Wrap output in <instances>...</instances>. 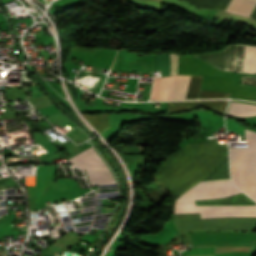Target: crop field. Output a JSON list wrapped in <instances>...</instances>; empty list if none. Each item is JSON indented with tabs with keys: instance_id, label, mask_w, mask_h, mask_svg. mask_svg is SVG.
<instances>
[{
	"instance_id": "1",
	"label": "crop field",
	"mask_w": 256,
	"mask_h": 256,
	"mask_svg": "<svg viewBox=\"0 0 256 256\" xmlns=\"http://www.w3.org/2000/svg\"><path fill=\"white\" fill-rule=\"evenodd\" d=\"M225 149L226 146H217L214 140L188 143L166 158L153 180L161 184L175 200L215 168L223 158Z\"/></svg>"
},
{
	"instance_id": "2",
	"label": "crop field",
	"mask_w": 256,
	"mask_h": 256,
	"mask_svg": "<svg viewBox=\"0 0 256 256\" xmlns=\"http://www.w3.org/2000/svg\"><path fill=\"white\" fill-rule=\"evenodd\" d=\"M237 193L241 192L230 179L199 182L177 199L174 214L200 213L202 218L256 217V206H196L193 201Z\"/></svg>"
},
{
	"instance_id": "3",
	"label": "crop field",
	"mask_w": 256,
	"mask_h": 256,
	"mask_svg": "<svg viewBox=\"0 0 256 256\" xmlns=\"http://www.w3.org/2000/svg\"><path fill=\"white\" fill-rule=\"evenodd\" d=\"M248 148H230L231 177L256 201V132L247 130Z\"/></svg>"
},
{
	"instance_id": "4",
	"label": "crop field",
	"mask_w": 256,
	"mask_h": 256,
	"mask_svg": "<svg viewBox=\"0 0 256 256\" xmlns=\"http://www.w3.org/2000/svg\"><path fill=\"white\" fill-rule=\"evenodd\" d=\"M69 163L85 168L91 185L116 183L110 170L92 147L68 159Z\"/></svg>"
},
{
	"instance_id": "5",
	"label": "crop field",
	"mask_w": 256,
	"mask_h": 256,
	"mask_svg": "<svg viewBox=\"0 0 256 256\" xmlns=\"http://www.w3.org/2000/svg\"><path fill=\"white\" fill-rule=\"evenodd\" d=\"M189 77L187 75L161 77L157 100L185 99Z\"/></svg>"
},
{
	"instance_id": "6",
	"label": "crop field",
	"mask_w": 256,
	"mask_h": 256,
	"mask_svg": "<svg viewBox=\"0 0 256 256\" xmlns=\"http://www.w3.org/2000/svg\"><path fill=\"white\" fill-rule=\"evenodd\" d=\"M196 105H204L219 112L225 113L227 101H181L168 102V111L190 108Z\"/></svg>"
},
{
	"instance_id": "7",
	"label": "crop field",
	"mask_w": 256,
	"mask_h": 256,
	"mask_svg": "<svg viewBox=\"0 0 256 256\" xmlns=\"http://www.w3.org/2000/svg\"><path fill=\"white\" fill-rule=\"evenodd\" d=\"M255 4L256 0H231L226 11L238 15L248 16Z\"/></svg>"
},
{
	"instance_id": "8",
	"label": "crop field",
	"mask_w": 256,
	"mask_h": 256,
	"mask_svg": "<svg viewBox=\"0 0 256 256\" xmlns=\"http://www.w3.org/2000/svg\"><path fill=\"white\" fill-rule=\"evenodd\" d=\"M228 114L235 115V116H241V117L255 116L256 115V105L231 102Z\"/></svg>"
},
{
	"instance_id": "9",
	"label": "crop field",
	"mask_w": 256,
	"mask_h": 256,
	"mask_svg": "<svg viewBox=\"0 0 256 256\" xmlns=\"http://www.w3.org/2000/svg\"><path fill=\"white\" fill-rule=\"evenodd\" d=\"M84 117L99 133L110 127L107 113L98 115H84Z\"/></svg>"
},
{
	"instance_id": "10",
	"label": "crop field",
	"mask_w": 256,
	"mask_h": 256,
	"mask_svg": "<svg viewBox=\"0 0 256 256\" xmlns=\"http://www.w3.org/2000/svg\"><path fill=\"white\" fill-rule=\"evenodd\" d=\"M202 76H191L186 99L197 98Z\"/></svg>"
},
{
	"instance_id": "11",
	"label": "crop field",
	"mask_w": 256,
	"mask_h": 256,
	"mask_svg": "<svg viewBox=\"0 0 256 256\" xmlns=\"http://www.w3.org/2000/svg\"><path fill=\"white\" fill-rule=\"evenodd\" d=\"M229 94L225 92L201 91L199 98L226 97Z\"/></svg>"
},
{
	"instance_id": "12",
	"label": "crop field",
	"mask_w": 256,
	"mask_h": 256,
	"mask_svg": "<svg viewBox=\"0 0 256 256\" xmlns=\"http://www.w3.org/2000/svg\"><path fill=\"white\" fill-rule=\"evenodd\" d=\"M170 57H171L170 75L177 74L178 55L177 54H170Z\"/></svg>"
},
{
	"instance_id": "13",
	"label": "crop field",
	"mask_w": 256,
	"mask_h": 256,
	"mask_svg": "<svg viewBox=\"0 0 256 256\" xmlns=\"http://www.w3.org/2000/svg\"><path fill=\"white\" fill-rule=\"evenodd\" d=\"M160 77L155 78L152 90L151 100H156Z\"/></svg>"
}]
</instances>
